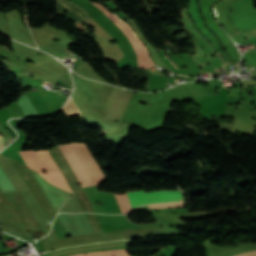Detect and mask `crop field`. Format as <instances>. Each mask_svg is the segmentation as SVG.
Returning <instances> with one entry per match:
<instances>
[{
	"label": "crop field",
	"mask_w": 256,
	"mask_h": 256,
	"mask_svg": "<svg viewBox=\"0 0 256 256\" xmlns=\"http://www.w3.org/2000/svg\"><path fill=\"white\" fill-rule=\"evenodd\" d=\"M172 62V61H171ZM173 63V62H172ZM173 65L176 67V68H178L174 63H173Z\"/></svg>",
	"instance_id": "obj_11"
},
{
	"label": "crop field",
	"mask_w": 256,
	"mask_h": 256,
	"mask_svg": "<svg viewBox=\"0 0 256 256\" xmlns=\"http://www.w3.org/2000/svg\"><path fill=\"white\" fill-rule=\"evenodd\" d=\"M65 50H66V48H65ZM67 51V50H66ZM67 53H68V51H67ZM69 54V53H68Z\"/></svg>",
	"instance_id": "obj_12"
},
{
	"label": "crop field",
	"mask_w": 256,
	"mask_h": 256,
	"mask_svg": "<svg viewBox=\"0 0 256 256\" xmlns=\"http://www.w3.org/2000/svg\"><path fill=\"white\" fill-rule=\"evenodd\" d=\"M20 154L29 167L35 169L50 183L61 189L71 191L48 151H25L20 152ZM44 169L47 171L46 174L42 173Z\"/></svg>",
	"instance_id": "obj_1"
},
{
	"label": "crop field",
	"mask_w": 256,
	"mask_h": 256,
	"mask_svg": "<svg viewBox=\"0 0 256 256\" xmlns=\"http://www.w3.org/2000/svg\"><path fill=\"white\" fill-rule=\"evenodd\" d=\"M141 228H154L159 227L158 223H151V224H140Z\"/></svg>",
	"instance_id": "obj_8"
},
{
	"label": "crop field",
	"mask_w": 256,
	"mask_h": 256,
	"mask_svg": "<svg viewBox=\"0 0 256 256\" xmlns=\"http://www.w3.org/2000/svg\"><path fill=\"white\" fill-rule=\"evenodd\" d=\"M237 256H256V251L255 252H247V253H242Z\"/></svg>",
	"instance_id": "obj_9"
},
{
	"label": "crop field",
	"mask_w": 256,
	"mask_h": 256,
	"mask_svg": "<svg viewBox=\"0 0 256 256\" xmlns=\"http://www.w3.org/2000/svg\"><path fill=\"white\" fill-rule=\"evenodd\" d=\"M4 146V140L3 138L0 136V149H2Z\"/></svg>",
	"instance_id": "obj_10"
},
{
	"label": "crop field",
	"mask_w": 256,
	"mask_h": 256,
	"mask_svg": "<svg viewBox=\"0 0 256 256\" xmlns=\"http://www.w3.org/2000/svg\"><path fill=\"white\" fill-rule=\"evenodd\" d=\"M94 4V3H93ZM99 9H101L108 18L127 36V38L130 40L131 44L136 50V53L139 57V60L142 64V67L144 69L150 68L154 66V64L151 62L147 50L144 48L143 44L138 40L135 35L133 34L132 30L128 27L127 24L123 23L122 21L118 20L117 17L110 13L108 10H106L102 5L95 4Z\"/></svg>",
	"instance_id": "obj_3"
},
{
	"label": "crop field",
	"mask_w": 256,
	"mask_h": 256,
	"mask_svg": "<svg viewBox=\"0 0 256 256\" xmlns=\"http://www.w3.org/2000/svg\"><path fill=\"white\" fill-rule=\"evenodd\" d=\"M70 256H128L125 249L121 250H112V251H103V252H97V253H87L84 254H74Z\"/></svg>",
	"instance_id": "obj_5"
},
{
	"label": "crop field",
	"mask_w": 256,
	"mask_h": 256,
	"mask_svg": "<svg viewBox=\"0 0 256 256\" xmlns=\"http://www.w3.org/2000/svg\"><path fill=\"white\" fill-rule=\"evenodd\" d=\"M167 207H185L179 203H166V204H157L150 205L149 208H167Z\"/></svg>",
	"instance_id": "obj_7"
},
{
	"label": "crop field",
	"mask_w": 256,
	"mask_h": 256,
	"mask_svg": "<svg viewBox=\"0 0 256 256\" xmlns=\"http://www.w3.org/2000/svg\"><path fill=\"white\" fill-rule=\"evenodd\" d=\"M242 38V37H241ZM243 40V39H242Z\"/></svg>",
	"instance_id": "obj_13"
},
{
	"label": "crop field",
	"mask_w": 256,
	"mask_h": 256,
	"mask_svg": "<svg viewBox=\"0 0 256 256\" xmlns=\"http://www.w3.org/2000/svg\"><path fill=\"white\" fill-rule=\"evenodd\" d=\"M68 116L76 115L78 114V111L76 110L74 104L72 103L71 99L67 102V104L63 108Z\"/></svg>",
	"instance_id": "obj_6"
},
{
	"label": "crop field",
	"mask_w": 256,
	"mask_h": 256,
	"mask_svg": "<svg viewBox=\"0 0 256 256\" xmlns=\"http://www.w3.org/2000/svg\"><path fill=\"white\" fill-rule=\"evenodd\" d=\"M132 208L146 204V203H157V202H170L183 200V196L180 191H162V192H151L144 193L143 191L138 192H127Z\"/></svg>",
	"instance_id": "obj_4"
},
{
	"label": "crop field",
	"mask_w": 256,
	"mask_h": 256,
	"mask_svg": "<svg viewBox=\"0 0 256 256\" xmlns=\"http://www.w3.org/2000/svg\"><path fill=\"white\" fill-rule=\"evenodd\" d=\"M181 15L183 17V20H181V22L185 24L184 26L186 27L188 32H191L192 35L194 36V38L196 39V41L193 42V44L196 46L195 51L197 52V55H191V56L193 57V59L197 62V64L199 66L204 65L201 72H203V71L215 72V69L222 67L221 59L217 56V54L215 53V51L213 50L211 45L208 43V41H206L200 35V33L193 27L188 15H187L186 8L183 12H181ZM200 46H203L204 49L202 50L200 48ZM211 54H215L216 57L211 58L209 56ZM203 55H206L207 58H204ZM206 62H209L210 66H207Z\"/></svg>",
	"instance_id": "obj_2"
}]
</instances>
